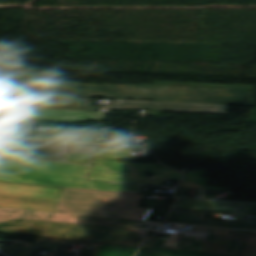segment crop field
I'll list each match as a JSON object with an SVG mask.
<instances>
[{
	"instance_id": "crop-field-1",
	"label": "crop field",
	"mask_w": 256,
	"mask_h": 256,
	"mask_svg": "<svg viewBox=\"0 0 256 256\" xmlns=\"http://www.w3.org/2000/svg\"><path fill=\"white\" fill-rule=\"evenodd\" d=\"M143 195L0 182V223L15 219L112 226L136 219Z\"/></svg>"
},
{
	"instance_id": "crop-field-2",
	"label": "crop field",
	"mask_w": 256,
	"mask_h": 256,
	"mask_svg": "<svg viewBox=\"0 0 256 256\" xmlns=\"http://www.w3.org/2000/svg\"><path fill=\"white\" fill-rule=\"evenodd\" d=\"M250 90L252 93H247ZM51 95L254 105L253 86L156 81L154 85H87L52 81Z\"/></svg>"
},
{
	"instance_id": "crop-field-3",
	"label": "crop field",
	"mask_w": 256,
	"mask_h": 256,
	"mask_svg": "<svg viewBox=\"0 0 256 256\" xmlns=\"http://www.w3.org/2000/svg\"><path fill=\"white\" fill-rule=\"evenodd\" d=\"M92 165L0 156V181L139 193L142 185L87 179Z\"/></svg>"
},
{
	"instance_id": "crop-field-4",
	"label": "crop field",
	"mask_w": 256,
	"mask_h": 256,
	"mask_svg": "<svg viewBox=\"0 0 256 256\" xmlns=\"http://www.w3.org/2000/svg\"><path fill=\"white\" fill-rule=\"evenodd\" d=\"M146 172L154 173L145 177ZM182 173L159 164L118 163V160L95 158L90 180L162 185L163 181L180 180Z\"/></svg>"
},
{
	"instance_id": "crop-field-5",
	"label": "crop field",
	"mask_w": 256,
	"mask_h": 256,
	"mask_svg": "<svg viewBox=\"0 0 256 256\" xmlns=\"http://www.w3.org/2000/svg\"><path fill=\"white\" fill-rule=\"evenodd\" d=\"M0 233L102 243L108 233V227L16 220L0 224Z\"/></svg>"
},
{
	"instance_id": "crop-field-6",
	"label": "crop field",
	"mask_w": 256,
	"mask_h": 256,
	"mask_svg": "<svg viewBox=\"0 0 256 256\" xmlns=\"http://www.w3.org/2000/svg\"><path fill=\"white\" fill-rule=\"evenodd\" d=\"M103 112L62 110V109H43V108H25L13 106H1L0 116L39 119L60 122H78L87 119L100 120Z\"/></svg>"
},
{
	"instance_id": "crop-field-7",
	"label": "crop field",
	"mask_w": 256,
	"mask_h": 256,
	"mask_svg": "<svg viewBox=\"0 0 256 256\" xmlns=\"http://www.w3.org/2000/svg\"><path fill=\"white\" fill-rule=\"evenodd\" d=\"M90 98L0 94V104L99 111L100 107L89 106Z\"/></svg>"
},
{
	"instance_id": "crop-field-8",
	"label": "crop field",
	"mask_w": 256,
	"mask_h": 256,
	"mask_svg": "<svg viewBox=\"0 0 256 256\" xmlns=\"http://www.w3.org/2000/svg\"><path fill=\"white\" fill-rule=\"evenodd\" d=\"M50 75L0 71V93L50 95Z\"/></svg>"
},
{
	"instance_id": "crop-field-9",
	"label": "crop field",
	"mask_w": 256,
	"mask_h": 256,
	"mask_svg": "<svg viewBox=\"0 0 256 256\" xmlns=\"http://www.w3.org/2000/svg\"><path fill=\"white\" fill-rule=\"evenodd\" d=\"M110 109L161 110L171 112L227 115L228 106L114 100Z\"/></svg>"
},
{
	"instance_id": "crop-field-10",
	"label": "crop field",
	"mask_w": 256,
	"mask_h": 256,
	"mask_svg": "<svg viewBox=\"0 0 256 256\" xmlns=\"http://www.w3.org/2000/svg\"><path fill=\"white\" fill-rule=\"evenodd\" d=\"M196 233V232H191ZM204 234V233H202ZM162 249L233 255V256H256V247L227 245L213 242L181 240L177 247L163 246Z\"/></svg>"
},
{
	"instance_id": "crop-field-11",
	"label": "crop field",
	"mask_w": 256,
	"mask_h": 256,
	"mask_svg": "<svg viewBox=\"0 0 256 256\" xmlns=\"http://www.w3.org/2000/svg\"><path fill=\"white\" fill-rule=\"evenodd\" d=\"M99 145L0 138V147L95 154Z\"/></svg>"
},
{
	"instance_id": "crop-field-12",
	"label": "crop field",
	"mask_w": 256,
	"mask_h": 256,
	"mask_svg": "<svg viewBox=\"0 0 256 256\" xmlns=\"http://www.w3.org/2000/svg\"><path fill=\"white\" fill-rule=\"evenodd\" d=\"M203 216L204 214L198 213L171 212L167 222L256 230V218L254 217L236 216L235 220L221 222L204 219Z\"/></svg>"
},
{
	"instance_id": "crop-field-13",
	"label": "crop field",
	"mask_w": 256,
	"mask_h": 256,
	"mask_svg": "<svg viewBox=\"0 0 256 256\" xmlns=\"http://www.w3.org/2000/svg\"><path fill=\"white\" fill-rule=\"evenodd\" d=\"M240 205L237 202L178 198L173 209L236 214Z\"/></svg>"
},
{
	"instance_id": "crop-field-14",
	"label": "crop field",
	"mask_w": 256,
	"mask_h": 256,
	"mask_svg": "<svg viewBox=\"0 0 256 256\" xmlns=\"http://www.w3.org/2000/svg\"><path fill=\"white\" fill-rule=\"evenodd\" d=\"M64 240L36 238V244L20 239L12 241V246L0 245V249L10 256H31L35 249L59 251Z\"/></svg>"
},
{
	"instance_id": "crop-field-15",
	"label": "crop field",
	"mask_w": 256,
	"mask_h": 256,
	"mask_svg": "<svg viewBox=\"0 0 256 256\" xmlns=\"http://www.w3.org/2000/svg\"><path fill=\"white\" fill-rule=\"evenodd\" d=\"M34 121L0 117V136L30 138Z\"/></svg>"
},
{
	"instance_id": "crop-field-16",
	"label": "crop field",
	"mask_w": 256,
	"mask_h": 256,
	"mask_svg": "<svg viewBox=\"0 0 256 256\" xmlns=\"http://www.w3.org/2000/svg\"><path fill=\"white\" fill-rule=\"evenodd\" d=\"M206 171L192 170L186 173L179 186L227 191L228 188L207 186L210 179L203 178Z\"/></svg>"
},
{
	"instance_id": "crop-field-17",
	"label": "crop field",
	"mask_w": 256,
	"mask_h": 256,
	"mask_svg": "<svg viewBox=\"0 0 256 256\" xmlns=\"http://www.w3.org/2000/svg\"><path fill=\"white\" fill-rule=\"evenodd\" d=\"M63 153L9 148L6 156L61 161Z\"/></svg>"
},
{
	"instance_id": "crop-field-18",
	"label": "crop field",
	"mask_w": 256,
	"mask_h": 256,
	"mask_svg": "<svg viewBox=\"0 0 256 256\" xmlns=\"http://www.w3.org/2000/svg\"><path fill=\"white\" fill-rule=\"evenodd\" d=\"M137 247L103 244L98 256H133Z\"/></svg>"
},
{
	"instance_id": "crop-field-19",
	"label": "crop field",
	"mask_w": 256,
	"mask_h": 256,
	"mask_svg": "<svg viewBox=\"0 0 256 256\" xmlns=\"http://www.w3.org/2000/svg\"><path fill=\"white\" fill-rule=\"evenodd\" d=\"M136 256H220V255L167 251V250L152 249V248H141L139 249Z\"/></svg>"
},
{
	"instance_id": "crop-field-20",
	"label": "crop field",
	"mask_w": 256,
	"mask_h": 256,
	"mask_svg": "<svg viewBox=\"0 0 256 256\" xmlns=\"http://www.w3.org/2000/svg\"><path fill=\"white\" fill-rule=\"evenodd\" d=\"M101 126H98L95 130L82 129L70 126L65 132H63L57 139L60 140H73L80 141L82 136L94 137L95 133Z\"/></svg>"
},
{
	"instance_id": "crop-field-21",
	"label": "crop field",
	"mask_w": 256,
	"mask_h": 256,
	"mask_svg": "<svg viewBox=\"0 0 256 256\" xmlns=\"http://www.w3.org/2000/svg\"><path fill=\"white\" fill-rule=\"evenodd\" d=\"M95 157L126 159V160H132V161H137L139 158L135 156H130L128 151L107 150V149H98Z\"/></svg>"
},
{
	"instance_id": "crop-field-22",
	"label": "crop field",
	"mask_w": 256,
	"mask_h": 256,
	"mask_svg": "<svg viewBox=\"0 0 256 256\" xmlns=\"http://www.w3.org/2000/svg\"><path fill=\"white\" fill-rule=\"evenodd\" d=\"M94 155L64 153L62 161L92 164Z\"/></svg>"
},
{
	"instance_id": "crop-field-23",
	"label": "crop field",
	"mask_w": 256,
	"mask_h": 256,
	"mask_svg": "<svg viewBox=\"0 0 256 256\" xmlns=\"http://www.w3.org/2000/svg\"><path fill=\"white\" fill-rule=\"evenodd\" d=\"M238 214L256 216V204L243 203Z\"/></svg>"
},
{
	"instance_id": "crop-field-24",
	"label": "crop field",
	"mask_w": 256,
	"mask_h": 256,
	"mask_svg": "<svg viewBox=\"0 0 256 256\" xmlns=\"http://www.w3.org/2000/svg\"><path fill=\"white\" fill-rule=\"evenodd\" d=\"M152 209L149 208H143L138 219L139 220H146V218L148 217L149 213L151 212Z\"/></svg>"
},
{
	"instance_id": "crop-field-25",
	"label": "crop field",
	"mask_w": 256,
	"mask_h": 256,
	"mask_svg": "<svg viewBox=\"0 0 256 256\" xmlns=\"http://www.w3.org/2000/svg\"><path fill=\"white\" fill-rule=\"evenodd\" d=\"M8 148H0V155L5 156Z\"/></svg>"
}]
</instances>
